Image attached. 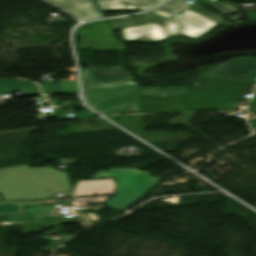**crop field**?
Here are the masks:
<instances>
[{"label": "crop field", "mask_w": 256, "mask_h": 256, "mask_svg": "<svg viewBox=\"0 0 256 256\" xmlns=\"http://www.w3.org/2000/svg\"><path fill=\"white\" fill-rule=\"evenodd\" d=\"M206 6L216 11L220 15H228L231 13L239 12L238 5L234 3H229L227 1L219 2V3H211V2H203Z\"/></svg>", "instance_id": "13"}, {"label": "crop field", "mask_w": 256, "mask_h": 256, "mask_svg": "<svg viewBox=\"0 0 256 256\" xmlns=\"http://www.w3.org/2000/svg\"><path fill=\"white\" fill-rule=\"evenodd\" d=\"M108 197H99V198H82L76 199L77 201H88V202H95V201H106Z\"/></svg>", "instance_id": "15"}, {"label": "crop field", "mask_w": 256, "mask_h": 256, "mask_svg": "<svg viewBox=\"0 0 256 256\" xmlns=\"http://www.w3.org/2000/svg\"><path fill=\"white\" fill-rule=\"evenodd\" d=\"M73 192L74 195L114 194V179L89 180L79 182Z\"/></svg>", "instance_id": "7"}, {"label": "crop field", "mask_w": 256, "mask_h": 256, "mask_svg": "<svg viewBox=\"0 0 256 256\" xmlns=\"http://www.w3.org/2000/svg\"><path fill=\"white\" fill-rule=\"evenodd\" d=\"M60 6L84 20L103 17L102 11L94 4L95 0H45Z\"/></svg>", "instance_id": "5"}, {"label": "crop field", "mask_w": 256, "mask_h": 256, "mask_svg": "<svg viewBox=\"0 0 256 256\" xmlns=\"http://www.w3.org/2000/svg\"><path fill=\"white\" fill-rule=\"evenodd\" d=\"M254 133H256V130H254Z\"/></svg>", "instance_id": "19"}, {"label": "crop field", "mask_w": 256, "mask_h": 256, "mask_svg": "<svg viewBox=\"0 0 256 256\" xmlns=\"http://www.w3.org/2000/svg\"><path fill=\"white\" fill-rule=\"evenodd\" d=\"M163 24L153 23L123 30L121 33L126 42L156 43L168 37L181 35L197 39L218 26L190 9L177 18L163 21Z\"/></svg>", "instance_id": "2"}, {"label": "crop field", "mask_w": 256, "mask_h": 256, "mask_svg": "<svg viewBox=\"0 0 256 256\" xmlns=\"http://www.w3.org/2000/svg\"><path fill=\"white\" fill-rule=\"evenodd\" d=\"M200 74L256 83V58L239 57Z\"/></svg>", "instance_id": "4"}, {"label": "crop field", "mask_w": 256, "mask_h": 256, "mask_svg": "<svg viewBox=\"0 0 256 256\" xmlns=\"http://www.w3.org/2000/svg\"><path fill=\"white\" fill-rule=\"evenodd\" d=\"M86 103L105 116L136 111L137 83L118 82L101 84L91 69H81Z\"/></svg>", "instance_id": "1"}, {"label": "crop field", "mask_w": 256, "mask_h": 256, "mask_svg": "<svg viewBox=\"0 0 256 256\" xmlns=\"http://www.w3.org/2000/svg\"><path fill=\"white\" fill-rule=\"evenodd\" d=\"M90 116H94V114L89 111L75 114V117H77L79 119L90 117Z\"/></svg>", "instance_id": "16"}, {"label": "crop field", "mask_w": 256, "mask_h": 256, "mask_svg": "<svg viewBox=\"0 0 256 256\" xmlns=\"http://www.w3.org/2000/svg\"><path fill=\"white\" fill-rule=\"evenodd\" d=\"M116 178L118 194L111 197L106 206L124 209L143 194L156 186L159 177H150L149 171L142 172L133 168L99 170L90 179Z\"/></svg>", "instance_id": "3"}, {"label": "crop field", "mask_w": 256, "mask_h": 256, "mask_svg": "<svg viewBox=\"0 0 256 256\" xmlns=\"http://www.w3.org/2000/svg\"><path fill=\"white\" fill-rule=\"evenodd\" d=\"M92 68L93 76L101 83L129 81L133 77L131 74L121 67H90Z\"/></svg>", "instance_id": "9"}, {"label": "crop field", "mask_w": 256, "mask_h": 256, "mask_svg": "<svg viewBox=\"0 0 256 256\" xmlns=\"http://www.w3.org/2000/svg\"><path fill=\"white\" fill-rule=\"evenodd\" d=\"M15 90L22 91L24 95L39 94L37 86L32 82L0 78V93Z\"/></svg>", "instance_id": "10"}, {"label": "crop field", "mask_w": 256, "mask_h": 256, "mask_svg": "<svg viewBox=\"0 0 256 256\" xmlns=\"http://www.w3.org/2000/svg\"><path fill=\"white\" fill-rule=\"evenodd\" d=\"M164 0H98L104 11H145Z\"/></svg>", "instance_id": "6"}, {"label": "crop field", "mask_w": 256, "mask_h": 256, "mask_svg": "<svg viewBox=\"0 0 256 256\" xmlns=\"http://www.w3.org/2000/svg\"><path fill=\"white\" fill-rule=\"evenodd\" d=\"M250 124L253 127V130L256 129V120L250 121Z\"/></svg>", "instance_id": "18"}, {"label": "crop field", "mask_w": 256, "mask_h": 256, "mask_svg": "<svg viewBox=\"0 0 256 256\" xmlns=\"http://www.w3.org/2000/svg\"><path fill=\"white\" fill-rule=\"evenodd\" d=\"M185 1L186 0H171L152 12L169 18L178 12L190 7V5Z\"/></svg>", "instance_id": "12"}, {"label": "crop field", "mask_w": 256, "mask_h": 256, "mask_svg": "<svg viewBox=\"0 0 256 256\" xmlns=\"http://www.w3.org/2000/svg\"><path fill=\"white\" fill-rule=\"evenodd\" d=\"M44 94H74L78 93L76 81L62 83H40Z\"/></svg>", "instance_id": "11"}, {"label": "crop field", "mask_w": 256, "mask_h": 256, "mask_svg": "<svg viewBox=\"0 0 256 256\" xmlns=\"http://www.w3.org/2000/svg\"><path fill=\"white\" fill-rule=\"evenodd\" d=\"M201 4V3H200ZM190 9L194 10L195 12L201 14L202 16L206 17L207 19L221 25L225 23V19L217 16L216 14L212 13L211 11L205 9L204 7L200 6L199 4L194 5Z\"/></svg>", "instance_id": "14"}, {"label": "crop field", "mask_w": 256, "mask_h": 256, "mask_svg": "<svg viewBox=\"0 0 256 256\" xmlns=\"http://www.w3.org/2000/svg\"><path fill=\"white\" fill-rule=\"evenodd\" d=\"M249 108H256V90H255L254 96L249 104Z\"/></svg>", "instance_id": "17"}, {"label": "crop field", "mask_w": 256, "mask_h": 256, "mask_svg": "<svg viewBox=\"0 0 256 256\" xmlns=\"http://www.w3.org/2000/svg\"><path fill=\"white\" fill-rule=\"evenodd\" d=\"M162 16L156 15L154 13H146L141 15H136L129 18H118L113 20H108L109 25L113 28L114 31L116 30H123L131 27H136L140 25H145L153 22H158L165 20Z\"/></svg>", "instance_id": "8"}]
</instances>
